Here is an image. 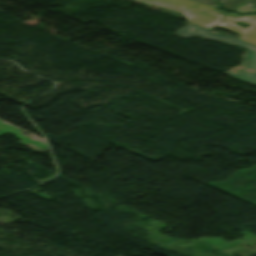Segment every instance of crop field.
Returning a JSON list of instances; mask_svg holds the SVG:
<instances>
[{"mask_svg":"<svg viewBox=\"0 0 256 256\" xmlns=\"http://www.w3.org/2000/svg\"><path fill=\"white\" fill-rule=\"evenodd\" d=\"M156 4L177 12H181L187 21L211 29L214 26H223L238 34L247 42L256 44V15L238 16L233 13H225L219 9L200 4L191 0H139ZM227 16V18L225 17ZM243 21L251 26L242 28L235 25L237 21Z\"/></svg>","mask_w":256,"mask_h":256,"instance_id":"8a807250","label":"crop field"},{"mask_svg":"<svg viewBox=\"0 0 256 256\" xmlns=\"http://www.w3.org/2000/svg\"><path fill=\"white\" fill-rule=\"evenodd\" d=\"M175 34H178L184 37L197 35V36H201V37H205V38H209V39H213L221 42L239 45L241 47L248 49L243 54L244 61L242 62V64L238 67L230 69L224 74L246 81L251 84H253L256 81V45L247 43L245 41L227 36L225 34H222L213 30L200 27L192 23L182 27Z\"/></svg>","mask_w":256,"mask_h":256,"instance_id":"ac0d7876","label":"crop field"},{"mask_svg":"<svg viewBox=\"0 0 256 256\" xmlns=\"http://www.w3.org/2000/svg\"><path fill=\"white\" fill-rule=\"evenodd\" d=\"M222 6L229 10L235 9L241 3L245 2L246 0H217Z\"/></svg>","mask_w":256,"mask_h":256,"instance_id":"34b2d1b8","label":"crop field"},{"mask_svg":"<svg viewBox=\"0 0 256 256\" xmlns=\"http://www.w3.org/2000/svg\"><path fill=\"white\" fill-rule=\"evenodd\" d=\"M234 12H237L239 14H244V13H253V12H256V10L242 5L239 8H237L236 10H234Z\"/></svg>","mask_w":256,"mask_h":256,"instance_id":"412701ff","label":"crop field"},{"mask_svg":"<svg viewBox=\"0 0 256 256\" xmlns=\"http://www.w3.org/2000/svg\"><path fill=\"white\" fill-rule=\"evenodd\" d=\"M194 1H197V2H200V3H204V4H207V5H210V6L218 8V5L215 3L214 0H194Z\"/></svg>","mask_w":256,"mask_h":256,"instance_id":"f4fd0767","label":"crop field"},{"mask_svg":"<svg viewBox=\"0 0 256 256\" xmlns=\"http://www.w3.org/2000/svg\"><path fill=\"white\" fill-rule=\"evenodd\" d=\"M255 85H256V83H255Z\"/></svg>","mask_w":256,"mask_h":256,"instance_id":"dd49c442","label":"crop field"}]
</instances>
